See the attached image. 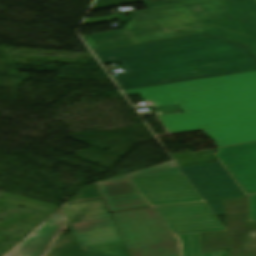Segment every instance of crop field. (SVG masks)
Masks as SVG:
<instances>
[{
    "label": "crop field",
    "instance_id": "ac0d7876",
    "mask_svg": "<svg viewBox=\"0 0 256 256\" xmlns=\"http://www.w3.org/2000/svg\"><path fill=\"white\" fill-rule=\"evenodd\" d=\"M102 65L123 62L122 90L256 70L243 45L202 34L96 51Z\"/></svg>",
    "mask_w": 256,
    "mask_h": 256
},
{
    "label": "crop field",
    "instance_id": "412701ff",
    "mask_svg": "<svg viewBox=\"0 0 256 256\" xmlns=\"http://www.w3.org/2000/svg\"><path fill=\"white\" fill-rule=\"evenodd\" d=\"M63 210L73 234L59 236L46 256H128L102 199Z\"/></svg>",
    "mask_w": 256,
    "mask_h": 256
},
{
    "label": "crop field",
    "instance_id": "8a807250",
    "mask_svg": "<svg viewBox=\"0 0 256 256\" xmlns=\"http://www.w3.org/2000/svg\"><path fill=\"white\" fill-rule=\"evenodd\" d=\"M146 92L158 107L182 108L159 116L170 134L204 129L218 147L256 141V72L124 91Z\"/></svg>",
    "mask_w": 256,
    "mask_h": 256
},
{
    "label": "crop field",
    "instance_id": "34b2d1b8",
    "mask_svg": "<svg viewBox=\"0 0 256 256\" xmlns=\"http://www.w3.org/2000/svg\"><path fill=\"white\" fill-rule=\"evenodd\" d=\"M125 30L85 36L93 51L207 32L245 44L256 58L254 0H142Z\"/></svg>",
    "mask_w": 256,
    "mask_h": 256
},
{
    "label": "crop field",
    "instance_id": "dd49c442",
    "mask_svg": "<svg viewBox=\"0 0 256 256\" xmlns=\"http://www.w3.org/2000/svg\"><path fill=\"white\" fill-rule=\"evenodd\" d=\"M222 203L227 231L199 233L201 252L230 249V256H256V222H249L248 196Z\"/></svg>",
    "mask_w": 256,
    "mask_h": 256
},
{
    "label": "crop field",
    "instance_id": "5a996713",
    "mask_svg": "<svg viewBox=\"0 0 256 256\" xmlns=\"http://www.w3.org/2000/svg\"><path fill=\"white\" fill-rule=\"evenodd\" d=\"M181 169L204 201L244 195L221 162Z\"/></svg>",
    "mask_w": 256,
    "mask_h": 256
},
{
    "label": "crop field",
    "instance_id": "28ad6ade",
    "mask_svg": "<svg viewBox=\"0 0 256 256\" xmlns=\"http://www.w3.org/2000/svg\"><path fill=\"white\" fill-rule=\"evenodd\" d=\"M179 173L182 172L173 162H171L106 181L98 182L97 184L105 201L109 202L142 196L129 179Z\"/></svg>",
    "mask_w": 256,
    "mask_h": 256
},
{
    "label": "crop field",
    "instance_id": "3316defc",
    "mask_svg": "<svg viewBox=\"0 0 256 256\" xmlns=\"http://www.w3.org/2000/svg\"><path fill=\"white\" fill-rule=\"evenodd\" d=\"M216 155L245 195L256 194V142L218 148Z\"/></svg>",
    "mask_w": 256,
    "mask_h": 256
},
{
    "label": "crop field",
    "instance_id": "f4fd0767",
    "mask_svg": "<svg viewBox=\"0 0 256 256\" xmlns=\"http://www.w3.org/2000/svg\"><path fill=\"white\" fill-rule=\"evenodd\" d=\"M111 216L130 256H179L178 241L151 207Z\"/></svg>",
    "mask_w": 256,
    "mask_h": 256
},
{
    "label": "crop field",
    "instance_id": "22f410ed",
    "mask_svg": "<svg viewBox=\"0 0 256 256\" xmlns=\"http://www.w3.org/2000/svg\"><path fill=\"white\" fill-rule=\"evenodd\" d=\"M182 241L183 256H228L226 251L201 254L198 233L179 235Z\"/></svg>",
    "mask_w": 256,
    "mask_h": 256
},
{
    "label": "crop field",
    "instance_id": "e52e79f7",
    "mask_svg": "<svg viewBox=\"0 0 256 256\" xmlns=\"http://www.w3.org/2000/svg\"><path fill=\"white\" fill-rule=\"evenodd\" d=\"M153 208L173 234L226 230L205 202Z\"/></svg>",
    "mask_w": 256,
    "mask_h": 256
},
{
    "label": "crop field",
    "instance_id": "5142ce71",
    "mask_svg": "<svg viewBox=\"0 0 256 256\" xmlns=\"http://www.w3.org/2000/svg\"><path fill=\"white\" fill-rule=\"evenodd\" d=\"M102 197L96 184H92L85 189H83L80 193H78L74 198H72L69 202L72 201H80L86 199H93Z\"/></svg>",
    "mask_w": 256,
    "mask_h": 256
},
{
    "label": "crop field",
    "instance_id": "d9b57169",
    "mask_svg": "<svg viewBox=\"0 0 256 256\" xmlns=\"http://www.w3.org/2000/svg\"><path fill=\"white\" fill-rule=\"evenodd\" d=\"M250 221H256V195L249 196Z\"/></svg>",
    "mask_w": 256,
    "mask_h": 256
},
{
    "label": "crop field",
    "instance_id": "d1516ede",
    "mask_svg": "<svg viewBox=\"0 0 256 256\" xmlns=\"http://www.w3.org/2000/svg\"><path fill=\"white\" fill-rule=\"evenodd\" d=\"M64 223L59 210L5 256H42Z\"/></svg>",
    "mask_w": 256,
    "mask_h": 256
},
{
    "label": "crop field",
    "instance_id": "4a817a6b",
    "mask_svg": "<svg viewBox=\"0 0 256 256\" xmlns=\"http://www.w3.org/2000/svg\"><path fill=\"white\" fill-rule=\"evenodd\" d=\"M115 19L114 15L111 16H105V17H97V18H89L86 19L84 24H91V23H97V22H103V21H109Z\"/></svg>",
    "mask_w": 256,
    "mask_h": 256
},
{
    "label": "crop field",
    "instance_id": "733c2abd",
    "mask_svg": "<svg viewBox=\"0 0 256 256\" xmlns=\"http://www.w3.org/2000/svg\"><path fill=\"white\" fill-rule=\"evenodd\" d=\"M215 215H223L221 200L207 202Z\"/></svg>",
    "mask_w": 256,
    "mask_h": 256
},
{
    "label": "crop field",
    "instance_id": "bc2a9ffb",
    "mask_svg": "<svg viewBox=\"0 0 256 256\" xmlns=\"http://www.w3.org/2000/svg\"><path fill=\"white\" fill-rule=\"evenodd\" d=\"M256 1V0H255Z\"/></svg>",
    "mask_w": 256,
    "mask_h": 256
},
{
    "label": "crop field",
    "instance_id": "d8731c3e",
    "mask_svg": "<svg viewBox=\"0 0 256 256\" xmlns=\"http://www.w3.org/2000/svg\"><path fill=\"white\" fill-rule=\"evenodd\" d=\"M150 206L203 201L185 175L132 180Z\"/></svg>",
    "mask_w": 256,
    "mask_h": 256
},
{
    "label": "crop field",
    "instance_id": "cbeb9de0",
    "mask_svg": "<svg viewBox=\"0 0 256 256\" xmlns=\"http://www.w3.org/2000/svg\"><path fill=\"white\" fill-rule=\"evenodd\" d=\"M107 205L111 212L149 206L143 197L109 202Z\"/></svg>",
    "mask_w": 256,
    "mask_h": 256
}]
</instances>
